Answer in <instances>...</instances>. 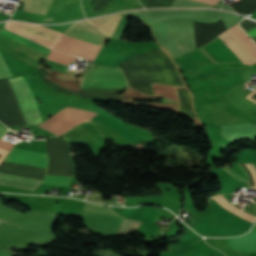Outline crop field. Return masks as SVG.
Here are the masks:
<instances>
[{
    "label": "crop field",
    "instance_id": "8a807250",
    "mask_svg": "<svg viewBox=\"0 0 256 256\" xmlns=\"http://www.w3.org/2000/svg\"><path fill=\"white\" fill-rule=\"evenodd\" d=\"M4 161L44 168H47L49 163L47 154L16 148H13ZM41 179L39 177L0 172V184L5 185L35 189Z\"/></svg>",
    "mask_w": 256,
    "mask_h": 256
},
{
    "label": "crop field",
    "instance_id": "ac0d7876",
    "mask_svg": "<svg viewBox=\"0 0 256 256\" xmlns=\"http://www.w3.org/2000/svg\"><path fill=\"white\" fill-rule=\"evenodd\" d=\"M237 24L225 32L238 44L254 64L256 63V44L240 30ZM225 32L218 37L237 55L242 63L252 65L250 59Z\"/></svg>",
    "mask_w": 256,
    "mask_h": 256
},
{
    "label": "crop field",
    "instance_id": "34b2d1b8",
    "mask_svg": "<svg viewBox=\"0 0 256 256\" xmlns=\"http://www.w3.org/2000/svg\"><path fill=\"white\" fill-rule=\"evenodd\" d=\"M26 124L41 123L28 83L23 77L9 79Z\"/></svg>",
    "mask_w": 256,
    "mask_h": 256
},
{
    "label": "crop field",
    "instance_id": "412701ff",
    "mask_svg": "<svg viewBox=\"0 0 256 256\" xmlns=\"http://www.w3.org/2000/svg\"><path fill=\"white\" fill-rule=\"evenodd\" d=\"M82 86L124 87L127 82L119 69L92 68L81 80Z\"/></svg>",
    "mask_w": 256,
    "mask_h": 256
},
{
    "label": "crop field",
    "instance_id": "f4fd0767",
    "mask_svg": "<svg viewBox=\"0 0 256 256\" xmlns=\"http://www.w3.org/2000/svg\"><path fill=\"white\" fill-rule=\"evenodd\" d=\"M67 34L86 39L98 44L103 45L105 40L104 36H102L96 29L89 26L85 22H75L70 27L67 28L66 32Z\"/></svg>",
    "mask_w": 256,
    "mask_h": 256
},
{
    "label": "crop field",
    "instance_id": "dd49c442",
    "mask_svg": "<svg viewBox=\"0 0 256 256\" xmlns=\"http://www.w3.org/2000/svg\"><path fill=\"white\" fill-rule=\"evenodd\" d=\"M228 247L239 251L249 252L256 251V230L251 231L243 236L226 238Z\"/></svg>",
    "mask_w": 256,
    "mask_h": 256
},
{
    "label": "crop field",
    "instance_id": "e52e79f7",
    "mask_svg": "<svg viewBox=\"0 0 256 256\" xmlns=\"http://www.w3.org/2000/svg\"><path fill=\"white\" fill-rule=\"evenodd\" d=\"M120 16L121 15L119 14H115L110 16L93 18L85 21L97 27L98 30L105 36L112 37Z\"/></svg>",
    "mask_w": 256,
    "mask_h": 256
},
{
    "label": "crop field",
    "instance_id": "d8731c3e",
    "mask_svg": "<svg viewBox=\"0 0 256 256\" xmlns=\"http://www.w3.org/2000/svg\"><path fill=\"white\" fill-rule=\"evenodd\" d=\"M0 34L3 35V36L8 37L10 39H13V40H15L17 42H20V43H22V44H24L26 46H29V47H31L33 49H36V50H38L40 52H43V53H45L47 55H49V53L51 51L50 49H48V48H46V47H44L42 45H39V44H37L35 42H32V41H30V40H28V39H26L24 37H21V36L16 35V34H14L12 32H9V31L5 30V28L0 30Z\"/></svg>",
    "mask_w": 256,
    "mask_h": 256
},
{
    "label": "crop field",
    "instance_id": "5a996713",
    "mask_svg": "<svg viewBox=\"0 0 256 256\" xmlns=\"http://www.w3.org/2000/svg\"><path fill=\"white\" fill-rule=\"evenodd\" d=\"M52 0H24V10L45 15Z\"/></svg>",
    "mask_w": 256,
    "mask_h": 256
},
{
    "label": "crop field",
    "instance_id": "3316defc",
    "mask_svg": "<svg viewBox=\"0 0 256 256\" xmlns=\"http://www.w3.org/2000/svg\"><path fill=\"white\" fill-rule=\"evenodd\" d=\"M214 200L216 202H218L220 205H222L224 208H226L227 210L249 220V221H254L256 215L255 214H251L242 210L237 209L236 207L230 205L221 195L214 197Z\"/></svg>",
    "mask_w": 256,
    "mask_h": 256
},
{
    "label": "crop field",
    "instance_id": "28ad6ade",
    "mask_svg": "<svg viewBox=\"0 0 256 256\" xmlns=\"http://www.w3.org/2000/svg\"><path fill=\"white\" fill-rule=\"evenodd\" d=\"M72 177L46 175L42 184L70 186Z\"/></svg>",
    "mask_w": 256,
    "mask_h": 256
},
{
    "label": "crop field",
    "instance_id": "d1516ede",
    "mask_svg": "<svg viewBox=\"0 0 256 256\" xmlns=\"http://www.w3.org/2000/svg\"><path fill=\"white\" fill-rule=\"evenodd\" d=\"M11 76L1 54H0V77Z\"/></svg>",
    "mask_w": 256,
    "mask_h": 256
},
{
    "label": "crop field",
    "instance_id": "22f410ed",
    "mask_svg": "<svg viewBox=\"0 0 256 256\" xmlns=\"http://www.w3.org/2000/svg\"><path fill=\"white\" fill-rule=\"evenodd\" d=\"M8 129L0 127V139H2L3 135ZM12 146V143L0 140V147L9 150ZM12 148V147H11Z\"/></svg>",
    "mask_w": 256,
    "mask_h": 256
},
{
    "label": "crop field",
    "instance_id": "cbeb9de0",
    "mask_svg": "<svg viewBox=\"0 0 256 256\" xmlns=\"http://www.w3.org/2000/svg\"><path fill=\"white\" fill-rule=\"evenodd\" d=\"M196 1L210 3V4H215V3L219 2L218 0H196Z\"/></svg>",
    "mask_w": 256,
    "mask_h": 256
},
{
    "label": "crop field",
    "instance_id": "5142ce71",
    "mask_svg": "<svg viewBox=\"0 0 256 256\" xmlns=\"http://www.w3.org/2000/svg\"><path fill=\"white\" fill-rule=\"evenodd\" d=\"M247 33L249 34L250 37H256V28Z\"/></svg>",
    "mask_w": 256,
    "mask_h": 256
},
{
    "label": "crop field",
    "instance_id": "d9b57169",
    "mask_svg": "<svg viewBox=\"0 0 256 256\" xmlns=\"http://www.w3.org/2000/svg\"><path fill=\"white\" fill-rule=\"evenodd\" d=\"M172 220H173V218H172Z\"/></svg>",
    "mask_w": 256,
    "mask_h": 256
},
{
    "label": "crop field",
    "instance_id": "733c2abd",
    "mask_svg": "<svg viewBox=\"0 0 256 256\" xmlns=\"http://www.w3.org/2000/svg\"><path fill=\"white\" fill-rule=\"evenodd\" d=\"M161 217V216H160ZM159 218V217H158Z\"/></svg>",
    "mask_w": 256,
    "mask_h": 256
}]
</instances>
